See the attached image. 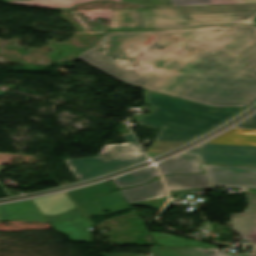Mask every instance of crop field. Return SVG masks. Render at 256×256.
<instances>
[{"mask_svg":"<svg viewBox=\"0 0 256 256\" xmlns=\"http://www.w3.org/2000/svg\"><path fill=\"white\" fill-rule=\"evenodd\" d=\"M137 88L212 106L256 100V26L104 34L75 56Z\"/></svg>","mask_w":256,"mask_h":256,"instance_id":"obj_1","label":"crop field"},{"mask_svg":"<svg viewBox=\"0 0 256 256\" xmlns=\"http://www.w3.org/2000/svg\"><path fill=\"white\" fill-rule=\"evenodd\" d=\"M151 114L134 118L140 125L161 130L155 140L188 142L230 120L245 108H212L148 91Z\"/></svg>","mask_w":256,"mask_h":256,"instance_id":"obj_2","label":"crop field"},{"mask_svg":"<svg viewBox=\"0 0 256 256\" xmlns=\"http://www.w3.org/2000/svg\"><path fill=\"white\" fill-rule=\"evenodd\" d=\"M141 28H117L107 32L190 28L208 25L253 23L256 4L137 9Z\"/></svg>","mask_w":256,"mask_h":256,"instance_id":"obj_3","label":"crop field"},{"mask_svg":"<svg viewBox=\"0 0 256 256\" xmlns=\"http://www.w3.org/2000/svg\"><path fill=\"white\" fill-rule=\"evenodd\" d=\"M124 138L128 144L104 145L97 157L66 159L65 162L79 181L145 160L146 156L132 134Z\"/></svg>","mask_w":256,"mask_h":256,"instance_id":"obj_4","label":"crop field"},{"mask_svg":"<svg viewBox=\"0 0 256 256\" xmlns=\"http://www.w3.org/2000/svg\"><path fill=\"white\" fill-rule=\"evenodd\" d=\"M1 2L16 3L27 6L73 10L75 4L93 2L96 0H0ZM117 3H126L134 5H149V6H191V5H215V4H241L239 0H101Z\"/></svg>","mask_w":256,"mask_h":256,"instance_id":"obj_5","label":"crop field"},{"mask_svg":"<svg viewBox=\"0 0 256 256\" xmlns=\"http://www.w3.org/2000/svg\"><path fill=\"white\" fill-rule=\"evenodd\" d=\"M186 153L199 154L203 163L256 166V147L203 144Z\"/></svg>","mask_w":256,"mask_h":256,"instance_id":"obj_6","label":"crop field"},{"mask_svg":"<svg viewBox=\"0 0 256 256\" xmlns=\"http://www.w3.org/2000/svg\"><path fill=\"white\" fill-rule=\"evenodd\" d=\"M204 166L214 186L256 188V168Z\"/></svg>","mask_w":256,"mask_h":256,"instance_id":"obj_7","label":"crop field"},{"mask_svg":"<svg viewBox=\"0 0 256 256\" xmlns=\"http://www.w3.org/2000/svg\"><path fill=\"white\" fill-rule=\"evenodd\" d=\"M120 192L130 205L147 206L158 211H160L161 207L168 200L160 177L148 185L139 188L124 189L120 190Z\"/></svg>","mask_w":256,"mask_h":256,"instance_id":"obj_8","label":"crop field"},{"mask_svg":"<svg viewBox=\"0 0 256 256\" xmlns=\"http://www.w3.org/2000/svg\"><path fill=\"white\" fill-rule=\"evenodd\" d=\"M57 231L68 235L73 241L93 242L87 230L92 224L77 208L66 215L59 217H46Z\"/></svg>","mask_w":256,"mask_h":256,"instance_id":"obj_9","label":"crop field"},{"mask_svg":"<svg viewBox=\"0 0 256 256\" xmlns=\"http://www.w3.org/2000/svg\"><path fill=\"white\" fill-rule=\"evenodd\" d=\"M248 206L240 214H230L234 230L241 234L242 241L256 245V195H245Z\"/></svg>","mask_w":256,"mask_h":256,"instance_id":"obj_10","label":"crop field"},{"mask_svg":"<svg viewBox=\"0 0 256 256\" xmlns=\"http://www.w3.org/2000/svg\"><path fill=\"white\" fill-rule=\"evenodd\" d=\"M0 221L48 223L31 200L0 205Z\"/></svg>","mask_w":256,"mask_h":256,"instance_id":"obj_11","label":"crop field"},{"mask_svg":"<svg viewBox=\"0 0 256 256\" xmlns=\"http://www.w3.org/2000/svg\"><path fill=\"white\" fill-rule=\"evenodd\" d=\"M163 178L171 195L183 194L186 191L211 189L205 173L200 175H177Z\"/></svg>","mask_w":256,"mask_h":256,"instance_id":"obj_12","label":"crop field"},{"mask_svg":"<svg viewBox=\"0 0 256 256\" xmlns=\"http://www.w3.org/2000/svg\"><path fill=\"white\" fill-rule=\"evenodd\" d=\"M81 208L85 212V214L90 217L129 209V205L119 193V191H117L110 193L104 197L95 199L81 206ZM105 210H109L110 212L104 213Z\"/></svg>","mask_w":256,"mask_h":256,"instance_id":"obj_13","label":"crop field"},{"mask_svg":"<svg viewBox=\"0 0 256 256\" xmlns=\"http://www.w3.org/2000/svg\"><path fill=\"white\" fill-rule=\"evenodd\" d=\"M198 156L180 155L158 164L163 175L203 172Z\"/></svg>","mask_w":256,"mask_h":256,"instance_id":"obj_14","label":"crop field"},{"mask_svg":"<svg viewBox=\"0 0 256 256\" xmlns=\"http://www.w3.org/2000/svg\"><path fill=\"white\" fill-rule=\"evenodd\" d=\"M43 215H56L69 211L75 205L65 193L32 200Z\"/></svg>","mask_w":256,"mask_h":256,"instance_id":"obj_15","label":"crop field"},{"mask_svg":"<svg viewBox=\"0 0 256 256\" xmlns=\"http://www.w3.org/2000/svg\"><path fill=\"white\" fill-rule=\"evenodd\" d=\"M220 249H197L153 246L151 256H219ZM103 256H133V255H103Z\"/></svg>","mask_w":256,"mask_h":256,"instance_id":"obj_16","label":"crop field"},{"mask_svg":"<svg viewBox=\"0 0 256 256\" xmlns=\"http://www.w3.org/2000/svg\"><path fill=\"white\" fill-rule=\"evenodd\" d=\"M208 143L256 146V130L231 129Z\"/></svg>","mask_w":256,"mask_h":256,"instance_id":"obj_17","label":"crop field"},{"mask_svg":"<svg viewBox=\"0 0 256 256\" xmlns=\"http://www.w3.org/2000/svg\"><path fill=\"white\" fill-rule=\"evenodd\" d=\"M115 184L104 182L72 191H68L70 196L79 205L89 199L104 195L112 190H116Z\"/></svg>","mask_w":256,"mask_h":256,"instance_id":"obj_18","label":"crop field"},{"mask_svg":"<svg viewBox=\"0 0 256 256\" xmlns=\"http://www.w3.org/2000/svg\"><path fill=\"white\" fill-rule=\"evenodd\" d=\"M158 172V171H157ZM155 168H148L142 171L132 173L120 178L113 179L118 189L123 187H132L135 185H142L151 181L155 176H158Z\"/></svg>","mask_w":256,"mask_h":256,"instance_id":"obj_19","label":"crop field"},{"mask_svg":"<svg viewBox=\"0 0 256 256\" xmlns=\"http://www.w3.org/2000/svg\"><path fill=\"white\" fill-rule=\"evenodd\" d=\"M158 246L198 247V248H219L214 245L197 242L193 240L173 237L161 233H150Z\"/></svg>","mask_w":256,"mask_h":256,"instance_id":"obj_20","label":"crop field"},{"mask_svg":"<svg viewBox=\"0 0 256 256\" xmlns=\"http://www.w3.org/2000/svg\"><path fill=\"white\" fill-rule=\"evenodd\" d=\"M110 28L139 26L135 9L110 10Z\"/></svg>","mask_w":256,"mask_h":256,"instance_id":"obj_21","label":"crop field"},{"mask_svg":"<svg viewBox=\"0 0 256 256\" xmlns=\"http://www.w3.org/2000/svg\"><path fill=\"white\" fill-rule=\"evenodd\" d=\"M182 144L184 143L154 141L148 152L164 153Z\"/></svg>","mask_w":256,"mask_h":256,"instance_id":"obj_22","label":"crop field"},{"mask_svg":"<svg viewBox=\"0 0 256 256\" xmlns=\"http://www.w3.org/2000/svg\"><path fill=\"white\" fill-rule=\"evenodd\" d=\"M237 127H242V128H256V114L252 116L250 119L242 123L241 125Z\"/></svg>","mask_w":256,"mask_h":256,"instance_id":"obj_23","label":"crop field"},{"mask_svg":"<svg viewBox=\"0 0 256 256\" xmlns=\"http://www.w3.org/2000/svg\"><path fill=\"white\" fill-rule=\"evenodd\" d=\"M228 256H256V250H254L252 254L231 253Z\"/></svg>","mask_w":256,"mask_h":256,"instance_id":"obj_24","label":"crop field"},{"mask_svg":"<svg viewBox=\"0 0 256 256\" xmlns=\"http://www.w3.org/2000/svg\"><path fill=\"white\" fill-rule=\"evenodd\" d=\"M120 131H121L122 134L130 132L127 127L122 129V130H120Z\"/></svg>","mask_w":256,"mask_h":256,"instance_id":"obj_25","label":"crop field"},{"mask_svg":"<svg viewBox=\"0 0 256 256\" xmlns=\"http://www.w3.org/2000/svg\"><path fill=\"white\" fill-rule=\"evenodd\" d=\"M149 157H154L156 155H159L158 153H147Z\"/></svg>","mask_w":256,"mask_h":256,"instance_id":"obj_26","label":"crop field"},{"mask_svg":"<svg viewBox=\"0 0 256 256\" xmlns=\"http://www.w3.org/2000/svg\"><path fill=\"white\" fill-rule=\"evenodd\" d=\"M1 185V184H0Z\"/></svg>","mask_w":256,"mask_h":256,"instance_id":"obj_27","label":"crop field"}]
</instances>
